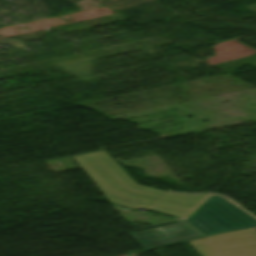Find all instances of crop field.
Masks as SVG:
<instances>
[{"label":"crop field","mask_w":256,"mask_h":256,"mask_svg":"<svg viewBox=\"0 0 256 256\" xmlns=\"http://www.w3.org/2000/svg\"><path fill=\"white\" fill-rule=\"evenodd\" d=\"M73 158L111 202L130 208L146 207L177 217H189L211 197L172 194L137 185L104 151Z\"/></svg>","instance_id":"8a807250"},{"label":"crop field","mask_w":256,"mask_h":256,"mask_svg":"<svg viewBox=\"0 0 256 256\" xmlns=\"http://www.w3.org/2000/svg\"><path fill=\"white\" fill-rule=\"evenodd\" d=\"M188 221L204 234L256 226V220L218 196H212Z\"/></svg>","instance_id":"ac0d7876"},{"label":"crop field","mask_w":256,"mask_h":256,"mask_svg":"<svg viewBox=\"0 0 256 256\" xmlns=\"http://www.w3.org/2000/svg\"><path fill=\"white\" fill-rule=\"evenodd\" d=\"M215 256H256V230H244L204 238Z\"/></svg>","instance_id":"34b2d1b8"},{"label":"crop field","mask_w":256,"mask_h":256,"mask_svg":"<svg viewBox=\"0 0 256 256\" xmlns=\"http://www.w3.org/2000/svg\"><path fill=\"white\" fill-rule=\"evenodd\" d=\"M143 249H149L171 243H176L200 236L198 231L188 222H179L130 235Z\"/></svg>","instance_id":"412701ff"},{"label":"crop field","mask_w":256,"mask_h":256,"mask_svg":"<svg viewBox=\"0 0 256 256\" xmlns=\"http://www.w3.org/2000/svg\"><path fill=\"white\" fill-rule=\"evenodd\" d=\"M202 240L190 241L189 243L201 256H214L212 252L201 242Z\"/></svg>","instance_id":"f4fd0767"}]
</instances>
